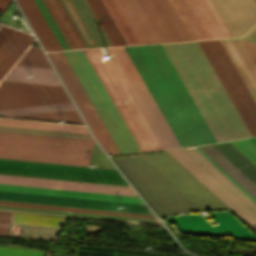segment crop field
<instances>
[{
  "mask_svg": "<svg viewBox=\"0 0 256 256\" xmlns=\"http://www.w3.org/2000/svg\"><path fill=\"white\" fill-rule=\"evenodd\" d=\"M0 183L137 196L131 188L0 175Z\"/></svg>",
  "mask_w": 256,
  "mask_h": 256,
  "instance_id": "22f410ed",
  "label": "crop field"
},
{
  "mask_svg": "<svg viewBox=\"0 0 256 256\" xmlns=\"http://www.w3.org/2000/svg\"><path fill=\"white\" fill-rule=\"evenodd\" d=\"M111 61L160 149L179 146L123 47L108 48ZM140 151L159 149L110 61L98 49L83 50ZM82 50L63 51L120 153L139 151Z\"/></svg>",
  "mask_w": 256,
  "mask_h": 256,
  "instance_id": "8a807250",
  "label": "crop field"
},
{
  "mask_svg": "<svg viewBox=\"0 0 256 256\" xmlns=\"http://www.w3.org/2000/svg\"><path fill=\"white\" fill-rule=\"evenodd\" d=\"M37 4L38 8L40 9L42 15L44 16L45 20L47 21L48 25L50 26L52 32L54 33L55 37L57 38L59 44L61 45L62 49H69L68 45L66 44L64 38L62 37L61 33L58 30V26L56 27L54 21L52 20L51 16L48 13V9L46 10L44 4L41 0H34Z\"/></svg>",
  "mask_w": 256,
  "mask_h": 256,
  "instance_id": "dafd665d",
  "label": "crop field"
},
{
  "mask_svg": "<svg viewBox=\"0 0 256 256\" xmlns=\"http://www.w3.org/2000/svg\"><path fill=\"white\" fill-rule=\"evenodd\" d=\"M161 46L216 142L250 137L197 42Z\"/></svg>",
  "mask_w": 256,
  "mask_h": 256,
  "instance_id": "412701ff",
  "label": "crop field"
},
{
  "mask_svg": "<svg viewBox=\"0 0 256 256\" xmlns=\"http://www.w3.org/2000/svg\"><path fill=\"white\" fill-rule=\"evenodd\" d=\"M17 2L45 51L61 49L34 1L17 0Z\"/></svg>",
  "mask_w": 256,
  "mask_h": 256,
  "instance_id": "cbeb9de0",
  "label": "crop field"
},
{
  "mask_svg": "<svg viewBox=\"0 0 256 256\" xmlns=\"http://www.w3.org/2000/svg\"><path fill=\"white\" fill-rule=\"evenodd\" d=\"M116 253L145 255V256H182V255L147 253V252H137V251L109 249V248L81 246V245H77L75 256H130V255H121ZM48 256H68V255L49 254Z\"/></svg>",
  "mask_w": 256,
  "mask_h": 256,
  "instance_id": "214f88e0",
  "label": "crop field"
},
{
  "mask_svg": "<svg viewBox=\"0 0 256 256\" xmlns=\"http://www.w3.org/2000/svg\"><path fill=\"white\" fill-rule=\"evenodd\" d=\"M0 174L129 187L117 169L111 168L0 158Z\"/></svg>",
  "mask_w": 256,
  "mask_h": 256,
  "instance_id": "28ad6ade",
  "label": "crop field"
},
{
  "mask_svg": "<svg viewBox=\"0 0 256 256\" xmlns=\"http://www.w3.org/2000/svg\"><path fill=\"white\" fill-rule=\"evenodd\" d=\"M244 37L256 41V25Z\"/></svg>",
  "mask_w": 256,
  "mask_h": 256,
  "instance_id": "eef30255",
  "label": "crop field"
},
{
  "mask_svg": "<svg viewBox=\"0 0 256 256\" xmlns=\"http://www.w3.org/2000/svg\"><path fill=\"white\" fill-rule=\"evenodd\" d=\"M18 30H14L13 33L9 36V38L4 42V44L0 47V53L5 48V46L10 42V40L15 36ZM22 32L19 31L16 36L11 40V42L6 46V48L0 54V58L5 54V52L9 49V47L14 43V41L19 37ZM26 36L25 33L21 35V37L16 41V43L11 47V49L7 52V54L2 58L0 61V67L5 62V60L10 56V54L14 51V49L19 45V43L24 39ZM31 35H27L25 39L20 43V45L15 49V51L11 54V56L6 60V62L0 68V72L5 68V66L9 63V61L14 57V55L18 52V50L23 46V44L28 40ZM33 40V36L30 40L25 44V46L20 50V52L15 56V58L11 61V63L6 67V69L1 73L0 80L6 74V72L10 69V67L14 64V62L19 58V56L23 53V51L27 48V46Z\"/></svg>",
  "mask_w": 256,
  "mask_h": 256,
  "instance_id": "4a817a6b",
  "label": "crop field"
},
{
  "mask_svg": "<svg viewBox=\"0 0 256 256\" xmlns=\"http://www.w3.org/2000/svg\"><path fill=\"white\" fill-rule=\"evenodd\" d=\"M9 212H0V235L7 236ZM64 218L11 213L10 222L60 227Z\"/></svg>",
  "mask_w": 256,
  "mask_h": 256,
  "instance_id": "733c2abd",
  "label": "crop field"
},
{
  "mask_svg": "<svg viewBox=\"0 0 256 256\" xmlns=\"http://www.w3.org/2000/svg\"><path fill=\"white\" fill-rule=\"evenodd\" d=\"M256 185V165L230 142L212 145ZM211 145L166 151L248 225L256 222V186Z\"/></svg>",
  "mask_w": 256,
  "mask_h": 256,
  "instance_id": "34b2d1b8",
  "label": "crop field"
},
{
  "mask_svg": "<svg viewBox=\"0 0 256 256\" xmlns=\"http://www.w3.org/2000/svg\"><path fill=\"white\" fill-rule=\"evenodd\" d=\"M0 200L153 215L145 205L0 191ZM0 201V204L156 219L154 216ZM0 205V210L161 226L158 220ZM122 207L123 209H120Z\"/></svg>",
  "mask_w": 256,
  "mask_h": 256,
  "instance_id": "e52e79f7",
  "label": "crop field"
},
{
  "mask_svg": "<svg viewBox=\"0 0 256 256\" xmlns=\"http://www.w3.org/2000/svg\"><path fill=\"white\" fill-rule=\"evenodd\" d=\"M0 115L83 124L40 48L35 47L0 83Z\"/></svg>",
  "mask_w": 256,
  "mask_h": 256,
  "instance_id": "ac0d7876",
  "label": "crop field"
},
{
  "mask_svg": "<svg viewBox=\"0 0 256 256\" xmlns=\"http://www.w3.org/2000/svg\"><path fill=\"white\" fill-rule=\"evenodd\" d=\"M140 44L191 40L169 0H115Z\"/></svg>",
  "mask_w": 256,
  "mask_h": 256,
  "instance_id": "3316defc",
  "label": "crop field"
},
{
  "mask_svg": "<svg viewBox=\"0 0 256 256\" xmlns=\"http://www.w3.org/2000/svg\"><path fill=\"white\" fill-rule=\"evenodd\" d=\"M248 140H249L253 145L256 146V137L249 138Z\"/></svg>",
  "mask_w": 256,
  "mask_h": 256,
  "instance_id": "d3111659",
  "label": "crop field"
},
{
  "mask_svg": "<svg viewBox=\"0 0 256 256\" xmlns=\"http://www.w3.org/2000/svg\"><path fill=\"white\" fill-rule=\"evenodd\" d=\"M70 49L86 48L59 0H42Z\"/></svg>",
  "mask_w": 256,
  "mask_h": 256,
  "instance_id": "d9b57169",
  "label": "crop field"
},
{
  "mask_svg": "<svg viewBox=\"0 0 256 256\" xmlns=\"http://www.w3.org/2000/svg\"><path fill=\"white\" fill-rule=\"evenodd\" d=\"M231 37L256 23L254 0H210ZM209 0H170L192 40L230 37Z\"/></svg>",
  "mask_w": 256,
  "mask_h": 256,
  "instance_id": "dd49c442",
  "label": "crop field"
},
{
  "mask_svg": "<svg viewBox=\"0 0 256 256\" xmlns=\"http://www.w3.org/2000/svg\"><path fill=\"white\" fill-rule=\"evenodd\" d=\"M244 42L246 43L248 49L250 50L251 54L253 55L255 61H256V43L249 41L247 39H244Z\"/></svg>",
  "mask_w": 256,
  "mask_h": 256,
  "instance_id": "730fd06b",
  "label": "crop field"
},
{
  "mask_svg": "<svg viewBox=\"0 0 256 256\" xmlns=\"http://www.w3.org/2000/svg\"><path fill=\"white\" fill-rule=\"evenodd\" d=\"M0 125L89 134L85 126H79V125H68V124H57V123L35 122V121L29 122L24 120H13V119H2V118H0Z\"/></svg>",
  "mask_w": 256,
  "mask_h": 256,
  "instance_id": "bc2a9ffb",
  "label": "crop field"
},
{
  "mask_svg": "<svg viewBox=\"0 0 256 256\" xmlns=\"http://www.w3.org/2000/svg\"><path fill=\"white\" fill-rule=\"evenodd\" d=\"M256 101V63L242 38L220 40ZM219 40L198 42L251 136L256 135V103Z\"/></svg>",
  "mask_w": 256,
  "mask_h": 256,
  "instance_id": "f4fd0767",
  "label": "crop field"
},
{
  "mask_svg": "<svg viewBox=\"0 0 256 256\" xmlns=\"http://www.w3.org/2000/svg\"><path fill=\"white\" fill-rule=\"evenodd\" d=\"M92 142L0 131V157L88 165Z\"/></svg>",
  "mask_w": 256,
  "mask_h": 256,
  "instance_id": "5a996713",
  "label": "crop field"
},
{
  "mask_svg": "<svg viewBox=\"0 0 256 256\" xmlns=\"http://www.w3.org/2000/svg\"><path fill=\"white\" fill-rule=\"evenodd\" d=\"M0 190L143 204L138 197L0 184Z\"/></svg>",
  "mask_w": 256,
  "mask_h": 256,
  "instance_id": "5142ce71",
  "label": "crop field"
},
{
  "mask_svg": "<svg viewBox=\"0 0 256 256\" xmlns=\"http://www.w3.org/2000/svg\"><path fill=\"white\" fill-rule=\"evenodd\" d=\"M10 0H0V11H3Z\"/></svg>",
  "mask_w": 256,
  "mask_h": 256,
  "instance_id": "ae1a2a85",
  "label": "crop field"
},
{
  "mask_svg": "<svg viewBox=\"0 0 256 256\" xmlns=\"http://www.w3.org/2000/svg\"><path fill=\"white\" fill-rule=\"evenodd\" d=\"M45 252L0 248V256H43Z\"/></svg>",
  "mask_w": 256,
  "mask_h": 256,
  "instance_id": "a9b5d70f",
  "label": "crop field"
},
{
  "mask_svg": "<svg viewBox=\"0 0 256 256\" xmlns=\"http://www.w3.org/2000/svg\"><path fill=\"white\" fill-rule=\"evenodd\" d=\"M254 231H256V224L250 226Z\"/></svg>",
  "mask_w": 256,
  "mask_h": 256,
  "instance_id": "750c4746",
  "label": "crop field"
},
{
  "mask_svg": "<svg viewBox=\"0 0 256 256\" xmlns=\"http://www.w3.org/2000/svg\"><path fill=\"white\" fill-rule=\"evenodd\" d=\"M62 5L64 6L66 12L68 13L69 17L71 18L73 24L75 25L76 29L78 30L80 36L82 37L83 41L85 42L87 48L90 47H101V46H121V45H131V44H139L138 40L136 39L135 35L133 34L131 28L129 27L128 23L126 22L125 18L123 17L122 13L120 12L118 6L116 5L114 0H102L103 3L105 4L107 10L109 11L111 17L113 18L115 24L117 25L119 31L121 32L123 38L125 39V41L123 40L121 34L119 33L118 29L116 28L115 24L113 23L111 17L109 16L108 12L106 11L105 7L103 6L101 0H60Z\"/></svg>",
  "mask_w": 256,
  "mask_h": 256,
  "instance_id": "d8731c3e",
  "label": "crop field"
},
{
  "mask_svg": "<svg viewBox=\"0 0 256 256\" xmlns=\"http://www.w3.org/2000/svg\"><path fill=\"white\" fill-rule=\"evenodd\" d=\"M14 28H10L7 26H0V46L7 39V37L12 33Z\"/></svg>",
  "mask_w": 256,
  "mask_h": 256,
  "instance_id": "4177f3b9",
  "label": "crop field"
},
{
  "mask_svg": "<svg viewBox=\"0 0 256 256\" xmlns=\"http://www.w3.org/2000/svg\"><path fill=\"white\" fill-rule=\"evenodd\" d=\"M0 130L1 131H12V132H23V133H34V134H45V135H56V136H66V137H77V138L93 139L91 137V135L64 133V132H54V131H44V130H34V129H23V128H13V127H3V126H0Z\"/></svg>",
  "mask_w": 256,
  "mask_h": 256,
  "instance_id": "92a150f3",
  "label": "crop field"
},
{
  "mask_svg": "<svg viewBox=\"0 0 256 256\" xmlns=\"http://www.w3.org/2000/svg\"><path fill=\"white\" fill-rule=\"evenodd\" d=\"M48 57L60 74L73 100L86 119L93 135L108 155L118 154L119 151L88 99L62 51L49 52ZM84 119V120H85Z\"/></svg>",
  "mask_w": 256,
  "mask_h": 256,
  "instance_id": "d1516ede",
  "label": "crop field"
},
{
  "mask_svg": "<svg viewBox=\"0 0 256 256\" xmlns=\"http://www.w3.org/2000/svg\"><path fill=\"white\" fill-rule=\"evenodd\" d=\"M231 143L256 164V147L253 146L247 139L234 141Z\"/></svg>",
  "mask_w": 256,
  "mask_h": 256,
  "instance_id": "00972430",
  "label": "crop field"
}]
</instances>
